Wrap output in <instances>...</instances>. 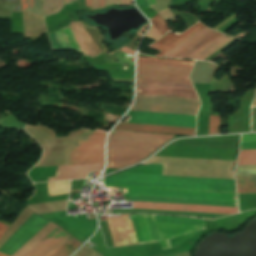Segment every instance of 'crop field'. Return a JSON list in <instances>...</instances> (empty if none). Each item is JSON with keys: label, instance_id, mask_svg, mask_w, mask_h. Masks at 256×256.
I'll return each mask as SVG.
<instances>
[{"label": "crop field", "instance_id": "bc2a9ffb", "mask_svg": "<svg viewBox=\"0 0 256 256\" xmlns=\"http://www.w3.org/2000/svg\"><path fill=\"white\" fill-rule=\"evenodd\" d=\"M77 2V0H44L45 17L60 12L66 5Z\"/></svg>", "mask_w": 256, "mask_h": 256}, {"label": "crop field", "instance_id": "5a996713", "mask_svg": "<svg viewBox=\"0 0 256 256\" xmlns=\"http://www.w3.org/2000/svg\"><path fill=\"white\" fill-rule=\"evenodd\" d=\"M107 133L89 131L79 140V147H74L70 164L104 162V141Z\"/></svg>", "mask_w": 256, "mask_h": 256}, {"label": "crop field", "instance_id": "00972430", "mask_svg": "<svg viewBox=\"0 0 256 256\" xmlns=\"http://www.w3.org/2000/svg\"><path fill=\"white\" fill-rule=\"evenodd\" d=\"M256 150H240L237 165H255Z\"/></svg>", "mask_w": 256, "mask_h": 256}, {"label": "crop field", "instance_id": "22f410ed", "mask_svg": "<svg viewBox=\"0 0 256 256\" xmlns=\"http://www.w3.org/2000/svg\"><path fill=\"white\" fill-rule=\"evenodd\" d=\"M139 243L159 241L151 215H130Z\"/></svg>", "mask_w": 256, "mask_h": 256}, {"label": "crop field", "instance_id": "a9b5d70f", "mask_svg": "<svg viewBox=\"0 0 256 256\" xmlns=\"http://www.w3.org/2000/svg\"><path fill=\"white\" fill-rule=\"evenodd\" d=\"M50 196L68 194L69 181L48 183Z\"/></svg>", "mask_w": 256, "mask_h": 256}, {"label": "crop field", "instance_id": "03da06ac", "mask_svg": "<svg viewBox=\"0 0 256 256\" xmlns=\"http://www.w3.org/2000/svg\"><path fill=\"white\" fill-rule=\"evenodd\" d=\"M147 1H148V4H149V7L152 6L153 4H155L154 0H147Z\"/></svg>", "mask_w": 256, "mask_h": 256}, {"label": "crop field", "instance_id": "c21b1889", "mask_svg": "<svg viewBox=\"0 0 256 256\" xmlns=\"http://www.w3.org/2000/svg\"><path fill=\"white\" fill-rule=\"evenodd\" d=\"M105 7V0H99V8Z\"/></svg>", "mask_w": 256, "mask_h": 256}, {"label": "crop field", "instance_id": "dd49c442", "mask_svg": "<svg viewBox=\"0 0 256 256\" xmlns=\"http://www.w3.org/2000/svg\"><path fill=\"white\" fill-rule=\"evenodd\" d=\"M232 39L233 37L205 27L164 56L203 60Z\"/></svg>", "mask_w": 256, "mask_h": 256}, {"label": "crop field", "instance_id": "4177f3b9", "mask_svg": "<svg viewBox=\"0 0 256 256\" xmlns=\"http://www.w3.org/2000/svg\"><path fill=\"white\" fill-rule=\"evenodd\" d=\"M125 196H144V197H160V198H176V199H193V200H211V201H229V202H237L236 200H228V199L194 198V197L144 195V194H125Z\"/></svg>", "mask_w": 256, "mask_h": 256}, {"label": "crop field", "instance_id": "eef30255", "mask_svg": "<svg viewBox=\"0 0 256 256\" xmlns=\"http://www.w3.org/2000/svg\"><path fill=\"white\" fill-rule=\"evenodd\" d=\"M209 134H219V116H210Z\"/></svg>", "mask_w": 256, "mask_h": 256}, {"label": "crop field", "instance_id": "d9b57169", "mask_svg": "<svg viewBox=\"0 0 256 256\" xmlns=\"http://www.w3.org/2000/svg\"><path fill=\"white\" fill-rule=\"evenodd\" d=\"M237 183H256V165L255 166H237ZM238 193H256V184H237Z\"/></svg>", "mask_w": 256, "mask_h": 256}, {"label": "crop field", "instance_id": "dafd665d", "mask_svg": "<svg viewBox=\"0 0 256 256\" xmlns=\"http://www.w3.org/2000/svg\"><path fill=\"white\" fill-rule=\"evenodd\" d=\"M22 9L44 17L43 0H21Z\"/></svg>", "mask_w": 256, "mask_h": 256}, {"label": "crop field", "instance_id": "bd1437ed", "mask_svg": "<svg viewBox=\"0 0 256 256\" xmlns=\"http://www.w3.org/2000/svg\"><path fill=\"white\" fill-rule=\"evenodd\" d=\"M240 149H256V142L254 143H241Z\"/></svg>", "mask_w": 256, "mask_h": 256}, {"label": "crop field", "instance_id": "cbeb9de0", "mask_svg": "<svg viewBox=\"0 0 256 256\" xmlns=\"http://www.w3.org/2000/svg\"><path fill=\"white\" fill-rule=\"evenodd\" d=\"M203 27L205 26H203L198 22L194 26H192L190 29H188L186 32L181 34L180 36L175 35L174 33L171 32L168 35H166L164 38L156 42L158 44L157 46L153 48L152 47L153 45L152 46L150 45L151 46L150 48L161 51L156 56H162L168 51H170L172 48H174L175 46H177L178 44H180L181 42H183L184 40L192 36L194 33L202 29Z\"/></svg>", "mask_w": 256, "mask_h": 256}, {"label": "crop field", "instance_id": "d8731c3e", "mask_svg": "<svg viewBox=\"0 0 256 256\" xmlns=\"http://www.w3.org/2000/svg\"><path fill=\"white\" fill-rule=\"evenodd\" d=\"M152 216L162 249L170 248L168 240L206 227L201 219Z\"/></svg>", "mask_w": 256, "mask_h": 256}, {"label": "crop field", "instance_id": "3316defc", "mask_svg": "<svg viewBox=\"0 0 256 256\" xmlns=\"http://www.w3.org/2000/svg\"><path fill=\"white\" fill-rule=\"evenodd\" d=\"M134 208L176 210V211H192V212H208V213H224V214L238 213L237 207L207 206V205H186V204H166V203H146V202H134Z\"/></svg>", "mask_w": 256, "mask_h": 256}, {"label": "crop field", "instance_id": "5142ce71", "mask_svg": "<svg viewBox=\"0 0 256 256\" xmlns=\"http://www.w3.org/2000/svg\"><path fill=\"white\" fill-rule=\"evenodd\" d=\"M103 164L104 163L75 165V166H69V165L59 166L55 176L79 175V174H87L88 172L102 171ZM85 177H86V175L51 177L48 179V181L78 179V178H85Z\"/></svg>", "mask_w": 256, "mask_h": 256}, {"label": "crop field", "instance_id": "730fd06b", "mask_svg": "<svg viewBox=\"0 0 256 256\" xmlns=\"http://www.w3.org/2000/svg\"><path fill=\"white\" fill-rule=\"evenodd\" d=\"M150 20L152 22V25L155 26L162 35L169 30L167 24L158 14Z\"/></svg>", "mask_w": 256, "mask_h": 256}, {"label": "crop field", "instance_id": "ae1a2a85", "mask_svg": "<svg viewBox=\"0 0 256 256\" xmlns=\"http://www.w3.org/2000/svg\"><path fill=\"white\" fill-rule=\"evenodd\" d=\"M158 14L165 20V22L175 18L168 8L160 11Z\"/></svg>", "mask_w": 256, "mask_h": 256}, {"label": "crop field", "instance_id": "e52e79f7", "mask_svg": "<svg viewBox=\"0 0 256 256\" xmlns=\"http://www.w3.org/2000/svg\"><path fill=\"white\" fill-rule=\"evenodd\" d=\"M74 34L84 56L96 57L101 54L92 38L85 31L80 22H71L68 26ZM68 27L49 34L52 50L77 49L80 50Z\"/></svg>", "mask_w": 256, "mask_h": 256}, {"label": "crop field", "instance_id": "b80d0937", "mask_svg": "<svg viewBox=\"0 0 256 256\" xmlns=\"http://www.w3.org/2000/svg\"><path fill=\"white\" fill-rule=\"evenodd\" d=\"M98 8V0H93L92 2V10Z\"/></svg>", "mask_w": 256, "mask_h": 256}, {"label": "crop field", "instance_id": "92a150f3", "mask_svg": "<svg viewBox=\"0 0 256 256\" xmlns=\"http://www.w3.org/2000/svg\"><path fill=\"white\" fill-rule=\"evenodd\" d=\"M81 243L76 239H71L70 241L66 242L54 252H52L48 256H68L71 254Z\"/></svg>", "mask_w": 256, "mask_h": 256}, {"label": "crop field", "instance_id": "28ad6ade", "mask_svg": "<svg viewBox=\"0 0 256 256\" xmlns=\"http://www.w3.org/2000/svg\"><path fill=\"white\" fill-rule=\"evenodd\" d=\"M107 221L114 246L138 243L129 215L107 218Z\"/></svg>", "mask_w": 256, "mask_h": 256}, {"label": "crop field", "instance_id": "412701ff", "mask_svg": "<svg viewBox=\"0 0 256 256\" xmlns=\"http://www.w3.org/2000/svg\"><path fill=\"white\" fill-rule=\"evenodd\" d=\"M195 121H196V116H190V115H176V114L134 111L133 119L130 122L195 127ZM133 123H119L115 127V129L174 133V134H188V135H194V131H195V128H189V127H175V126H161V125H147V124H133Z\"/></svg>", "mask_w": 256, "mask_h": 256}, {"label": "crop field", "instance_id": "4a817a6b", "mask_svg": "<svg viewBox=\"0 0 256 256\" xmlns=\"http://www.w3.org/2000/svg\"><path fill=\"white\" fill-rule=\"evenodd\" d=\"M215 64L196 61L190 79L192 83H209Z\"/></svg>", "mask_w": 256, "mask_h": 256}, {"label": "crop field", "instance_id": "5866460e", "mask_svg": "<svg viewBox=\"0 0 256 256\" xmlns=\"http://www.w3.org/2000/svg\"><path fill=\"white\" fill-rule=\"evenodd\" d=\"M119 50H121V51H123V52H125V53L131 54V55L134 56V52L131 51V50H129V49H127V48L124 47V46H123L122 48H120Z\"/></svg>", "mask_w": 256, "mask_h": 256}, {"label": "crop field", "instance_id": "1d83c4d3", "mask_svg": "<svg viewBox=\"0 0 256 256\" xmlns=\"http://www.w3.org/2000/svg\"><path fill=\"white\" fill-rule=\"evenodd\" d=\"M252 131H256V108H252Z\"/></svg>", "mask_w": 256, "mask_h": 256}, {"label": "crop field", "instance_id": "0bd39190", "mask_svg": "<svg viewBox=\"0 0 256 256\" xmlns=\"http://www.w3.org/2000/svg\"><path fill=\"white\" fill-rule=\"evenodd\" d=\"M139 39H140V37L135 36V37L130 41V43H132V44H134V45H137Z\"/></svg>", "mask_w": 256, "mask_h": 256}, {"label": "crop field", "instance_id": "d1516ede", "mask_svg": "<svg viewBox=\"0 0 256 256\" xmlns=\"http://www.w3.org/2000/svg\"><path fill=\"white\" fill-rule=\"evenodd\" d=\"M71 238L73 237L57 227L26 256H47Z\"/></svg>", "mask_w": 256, "mask_h": 256}, {"label": "crop field", "instance_id": "028f5c9d", "mask_svg": "<svg viewBox=\"0 0 256 256\" xmlns=\"http://www.w3.org/2000/svg\"><path fill=\"white\" fill-rule=\"evenodd\" d=\"M120 5L133 4L132 0H119Z\"/></svg>", "mask_w": 256, "mask_h": 256}, {"label": "crop field", "instance_id": "c035e120", "mask_svg": "<svg viewBox=\"0 0 256 256\" xmlns=\"http://www.w3.org/2000/svg\"><path fill=\"white\" fill-rule=\"evenodd\" d=\"M113 3H119V1L118 0H106V6L113 4Z\"/></svg>", "mask_w": 256, "mask_h": 256}, {"label": "crop field", "instance_id": "e1f06a70", "mask_svg": "<svg viewBox=\"0 0 256 256\" xmlns=\"http://www.w3.org/2000/svg\"><path fill=\"white\" fill-rule=\"evenodd\" d=\"M149 26V24H147V25H145V26H143V27H141V29H140V31L137 33V35H143V33H144V31L146 30V28Z\"/></svg>", "mask_w": 256, "mask_h": 256}, {"label": "crop field", "instance_id": "214f88e0", "mask_svg": "<svg viewBox=\"0 0 256 256\" xmlns=\"http://www.w3.org/2000/svg\"><path fill=\"white\" fill-rule=\"evenodd\" d=\"M130 201H146V202H166V203H187V204H207V205L237 206V203L209 202V201H191V200L174 201V200H158V199L130 198Z\"/></svg>", "mask_w": 256, "mask_h": 256}, {"label": "crop field", "instance_id": "750c4746", "mask_svg": "<svg viewBox=\"0 0 256 256\" xmlns=\"http://www.w3.org/2000/svg\"><path fill=\"white\" fill-rule=\"evenodd\" d=\"M256 141V135H242L241 142H253Z\"/></svg>", "mask_w": 256, "mask_h": 256}, {"label": "crop field", "instance_id": "f4fd0767", "mask_svg": "<svg viewBox=\"0 0 256 256\" xmlns=\"http://www.w3.org/2000/svg\"><path fill=\"white\" fill-rule=\"evenodd\" d=\"M194 62L138 57L137 79L191 84Z\"/></svg>", "mask_w": 256, "mask_h": 256}, {"label": "crop field", "instance_id": "8a807250", "mask_svg": "<svg viewBox=\"0 0 256 256\" xmlns=\"http://www.w3.org/2000/svg\"><path fill=\"white\" fill-rule=\"evenodd\" d=\"M162 165H141L103 180L104 186L236 194L234 180L161 176Z\"/></svg>", "mask_w": 256, "mask_h": 256}, {"label": "crop field", "instance_id": "d32e631a", "mask_svg": "<svg viewBox=\"0 0 256 256\" xmlns=\"http://www.w3.org/2000/svg\"><path fill=\"white\" fill-rule=\"evenodd\" d=\"M138 7H148L146 0H136Z\"/></svg>", "mask_w": 256, "mask_h": 256}, {"label": "crop field", "instance_id": "120bbe31", "mask_svg": "<svg viewBox=\"0 0 256 256\" xmlns=\"http://www.w3.org/2000/svg\"><path fill=\"white\" fill-rule=\"evenodd\" d=\"M8 228V225H5L3 223H0V238L5 233L6 229ZM0 256H6L0 253Z\"/></svg>", "mask_w": 256, "mask_h": 256}, {"label": "crop field", "instance_id": "733c2abd", "mask_svg": "<svg viewBox=\"0 0 256 256\" xmlns=\"http://www.w3.org/2000/svg\"><path fill=\"white\" fill-rule=\"evenodd\" d=\"M128 193H144V194H161V195H178V196L236 199V195H228V194L195 193V192L162 191V190L129 189V188H128Z\"/></svg>", "mask_w": 256, "mask_h": 256}, {"label": "crop field", "instance_id": "b54c1fbb", "mask_svg": "<svg viewBox=\"0 0 256 256\" xmlns=\"http://www.w3.org/2000/svg\"><path fill=\"white\" fill-rule=\"evenodd\" d=\"M86 5L91 7V0H86Z\"/></svg>", "mask_w": 256, "mask_h": 256}, {"label": "crop field", "instance_id": "d3111659", "mask_svg": "<svg viewBox=\"0 0 256 256\" xmlns=\"http://www.w3.org/2000/svg\"><path fill=\"white\" fill-rule=\"evenodd\" d=\"M162 36L154 27L151 28L149 33L146 35V38L156 40L158 37Z\"/></svg>", "mask_w": 256, "mask_h": 256}, {"label": "crop field", "instance_id": "ac0d7876", "mask_svg": "<svg viewBox=\"0 0 256 256\" xmlns=\"http://www.w3.org/2000/svg\"><path fill=\"white\" fill-rule=\"evenodd\" d=\"M136 95L198 99L192 85L137 80ZM136 96L131 110L196 115L199 100Z\"/></svg>", "mask_w": 256, "mask_h": 256}, {"label": "crop field", "instance_id": "34b2d1b8", "mask_svg": "<svg viewBox=\"0 0 256 256\" xmlns=\"http://www.w3.org/2000/svg\"><path fill=\"white\" fill-rule=\"evenodd\" d=\"M173 135L112 131L108 142V165L124 167L145 159L171 140Z\"/></svg>", "mask_w": 256, "mask_h": 256}]
</instances>
